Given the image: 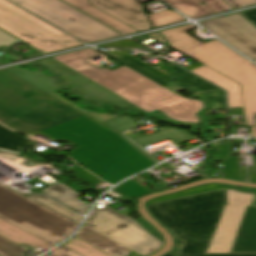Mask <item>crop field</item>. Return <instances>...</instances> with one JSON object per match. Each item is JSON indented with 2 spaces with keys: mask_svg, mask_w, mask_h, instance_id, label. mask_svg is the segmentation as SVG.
<instances>
[{
  "mask_svg": "<svg viewBox=\"0 0 256 256\" xmlns=\"http://www.w3.org/2000/svg\"><path fill=\"white\" fill-rule=\"evenodd\" d=\"M0 214L57 243L68 238L77 228L74 223L1 184Z\"/></svg>",
  "mask_w": 256,
  "mask_h": 256,
  "instance_id": "crop-field-5",
  "label": "crop field"
},
{
  "mask_svg": "<svg viewBox=\"0 0 256 256\" xmlns=\"http://www.w3.org/2000/svg\"><path fill=\"white\" fill-rule=\"evenodd\" d=\"M255 194L227 189V205H251Z\"/></svg>",
  "mask_w": 256,
  "mask_h": 256,
  "instance_id": "crop-field-29",
  "label": "crop field"
},
{
  "mask_svg": "<svg viewBox=\"0 0 256 256\" xmlns=\"http://www.w3.org/2000/svg\"><path fill=\"white\" fill-rule=\"evenodd\" d=\"M90 229L83 225L76 236L113 256H141Z\"/></svg>",
  "mask_w": 256,
  "mask_h": 256,
  "instance_id": "crop-field-19",
  "label": "crop field"
},
{
  "mask_svg": "<svg viewBox=\"0 0 256 256\" xmlns=\"http://www.w3.org/2000/svg\"><path fill=\"white\" fill-rule=\"evenodd\" d=\"M95 55L97 53L89 48L53 58L147 112L160 109L172 119L198 122L195 113L203 107L200 100L174 94L124 66L111 71L86 62Z\"/></svg>",
  "mask_w": 256,
  "mask_h": 256,
  "instance_id": "crop-field-2",
  "label": "crop field"
},
{
  "mask_svg": "<svg viewBox=\"0 0 256 256\" xmlns=\"http://www.w3.org/2000/svg\"><path fill=\"white\" fill-rule=\"evenodd\" d=\"M223 188H226V187L224 185H220V184H207V185H204V186L187 189V190H184V191H181V192H178V193L162 196V197H159V198H157V199H155V200H153V201H151L147 204L166 201V200L179 198V197H183V196H188V195L205 193V192L219 190V189H223Z\"/></svg>",
  "mask_w": 256,
  "mask_h": 256,
  "instance_id": "crop-field-27",
  "label": "crop field"
},
{
  "mask_svg": "<svg viewBox=\"0 0 256 256\" xmlns=\"http://www.w3.org/2000/svg\"><path fill=\"white\" fill-rule=\"evenodd\" d=\"M226 205V189L147 205L152 215L185 241L179 256H256L206 254Z\"/></svg>",
  "mask_w": 256,
  "mask_h": 256,
  "instance_id": "crop-field-3",
  "label": "crop field"
},
{
  "mask_svg": "<svg viewBox=\"0 0 256 256\" xmlns=\"http://www.w3.org/2000/svg\"><path fill=\"white\" fill-rule=\"evenodd\" d=\"M168 71L175 83L189 88L193 93L199 92L197 94L199 96H222L210 99L211 103L214 105L211 109L226 110L223 90L208 84L207 82L173 64L168 66Z\"/></svg>",
  "mask_w": 256,
  "mask_h": 256,
  "instance_id": "crop-field-13",
  "label": "crop field"
},
{
  "mask_svg": "<svg viewBox=\"0 0 256 256\" xmlns=\"http://www.w3.org/2000/svg\"><path fill=\"white\" fill-rule=\"evenodd\" d=\"M64 204L67 206L85 214L90 205L78 200V196L75 192L65 187L61 183L54 184L42 191H40Z\"/></svg>",
  "mask_w": 256,
  "mask_h": 256,
  "instance_id": "crop-field-21",
  "label": "crop field"
},
{
  "mask_svg": "<svg viewBox=\"0 0 256 256\" xmlns=\"http://www.w3.org/2000/svg\"><path fill=\"white\" fill-rule=\"evenodd\" d=\"M42 65L54 70L58 73L67 83L73 84V89L69 90L75 96H82L86 102L94 105L100 101L113 102L121 107H128L132 105L123 98L96 84L95 82L87 79L58 61L50 58L39 61Z\"/></svg>",
  "mask_w": 256,
  "mask_h": 256,
  "instance_id": "crop-field-10",
  "label": "crop field"
},
{
  "mask_svg": "<svg viewBox=\"0 0 256 256\" xmlns=\"http://www.w3.org/2000/svg\"><path fill=\"white\" fill-rule=\"evenodd\" d=\"M252 60L256 59V28L239 13L200 23Z\"/></svg>",
  "mask_w": 256,
  "mask_h": 256,
  "instance_id": "crop-field-9",
  "label": "crop field"
},
{
  "mask_svg": "<svg viewBox=\"0 0 256 256\" xmlns=\"http://www.w3.org/2000/svg\"><path fill=\"white\" fill-rule=\"evenodd\" d=\"M255 62H256V60H255Z\"/></svg>",
  "mask_w": 256,
  "mask_h": 256,
  "instance_id": "crop-field-47",
  "label": "crop field"
},
{
  "mask_svg": "<svg viewBox=\"0 0 256 256\" xmlns=\"http://www.w3.org/2000/svg\"><path fill=\"white\" fill-rule=\"evenodd\" d=\"M0 123L76 145L69 157L110 184L152 165L148 158L117 136L68 106L0 70Z\"/></svg>",
  "mask_w": 256,
  "mask_h": 256,
  "instance_id": "crop-field-1",
  "label": "crop field"
},
{
  "mask_svg": "<svg viewBox=\"0 0 256 256\" xmlns=\"http://www.w3.org/2000/svg\"><path fill=\"white\" fill-rule=\"evenodd\" d=\"M191 18L232 10L223 0H164Z\"/></svg>",
  "mask_w": 256,
  "mask_h": 256,
  "instance_id": "crop-field-15",
  "label": "crop field"
},
{
  "mask_svg": "<svg viewBox=\"0 0 256 256\" xmlns=\"http://www.w3.org/2000/svg\"><path fill=\"white\" fill-rule=\"evenodd\" d=\"M103 53L118 60L123 65L131 68L132 70L140 73L141 75L147 77L148 79L156 82L157 84H159L175 93L184 89L182 87H179V86L173 84L170 81L168 75L128 56L127 54L106 53V52H103Z\"/></svg>",
  "mask_w": 256,
  "mask_h": 256,
  "instance_id": "crop-field-17",
  "label": "crop field"
},
{
  "mask_svg": "<svg viewBox=\"0 0 256 256\" xmlns=\"http://www.w3.org/2000/svg\"><path fill=\"white\" fill-rule=\"evenodd\" d=\"M0 218L3 219V220H5V221H7V222H9V223H11L12 225H14V226H16V227H18V228H20V229H22V230H24V231L30 233V234H32L33 236H35V237H37V238H39V239H41V240H43V241H45V242H47V243L53 245V246L56 245V244H54V243H52V242H50V241H48V240H46V239H44V238H42V237H40V236H38V235H36V234H34V233H32V232H30V231H28V230H26V229L20 227V226H18V225H16V224L12 223L13 221L11 222V221H9V220H7V219L1 217V216H0Z\"/></svg>",
  "mask_w": 256,
  "mask_h": 256,
  "instance_id": "crop-field-42",
  "label": "crop field"
},
{
  "mask_svg": "<svg viewBox=\"0 0 256 256\" xmlns=\"http://www.w3.org/2000/svg\"><path fill=\"white\" fill-rule=\"evenodd\" d=\"M28 199L40 204L41 206L51 210L52 212L76 223L79 225L83 216L69 210L68 208L54 202L53 200L43 196V195H31Z\"/></svg>",
  "mask_w": 256,
  "mask_h": 256,
  "instance_id": "crop-field-24",
  "label": "crop field"
},
{
  "mask_svg": "<svg viewBox=\"0 0 256 256\" xmlns=\"http://www.w3.org/2000/svg\"><path fill=\"white\" fill-rule=\"evenodd\" d=\"M196 137H191L189 135H187V132L185 130L180 131L176 128L171 129V128H167L165 130L147 135V136H143L137 139H133L136 143H138L140 146L144 147L147 145H151L160 141H164V140H171L173 143L177 144L183 141H187L190 139H193Z\"/></svg>",
  "mask_w": 256,
  "mask_h": 256,
  "instance_id": "crop-field-23",
  "label": "crop field"
},
{
  "mask_svg": "<svg viewBox=\"0 0 256 256\" xmlns=\"http://www.w3.org/2000/svg\"><path fill=\"white\" fill-rule=\"evenodd\" d=\"M148 16L153 24V28L184 20V18L171 10H166Z\"/></svg>",
  "mask_w": 256,
  "mask_h": 256,
  "instance_id": "crop-field-28",
  "label": "crop field"
},
{
  "mask_svg": "<svg viewBox=\"0 0 256 256\" xmlns=\"http://www.w3.org/2000/svg\"><path fill=\"white\" fill-rule=\"evenodd\" d=\"M241 14H243L247 19L256 25V9L241 12Z\"/></svg>",
  "mask_w": 256,
  "mask_h": 256,
  "instance_id": "crop-field-40",
  "label": "crop field"
},
{
  "mask_svg": "<svg viewBox=\"0 0 256 256\" xmlns=\"http://www.w3.org/2000/svg\"><path fill=\"white\" fill-rule=\"evenodd\" d=\"M61 245L83 256H111L77 237H74Z\"/></svg>",
  "mask_w": 256,
  "mask_h": 256,
  "instance_id": "crop-field-26",
  "label": "crop field"
},
{
  "mask_svg": "<svg viewBox=\"0 0 256 256\" xmlns=\"http://www.w3.org/2000/svg\"><path fill=\"white\" fill-rule=\"evenodd\" d=\"M0 235L19 245L25 243L35 249L39 247L46 251L49 248L53 247L1 219Z\"/></svg>",
  "mask_w": 256,
  "mask_h": 256,
  "instance_id": "crop-field-22",
  "label": "crop field"
},
{
  "mask_svg": "<svg viewBox=\"0 0 256 256\" xmlns=\"http://www.w3.org/2000/svg\"><path fill=\"white\" fill-rule=\"evenodd\" d=\"M45 256H80V255H78L60 245L55 250H53L52 252L48 253Z\"/></svg>",
  "mask_w": 256,
  "mask_h": 256,
  "instance_id": "crop-field-37",
  "label": "crop field"
},
{
  "mask_svg": "<svg viewBox=\"0 0 256 256\" xmlns=\"http://www.w3.org/2000/svg\"><path fill=\"white\" fill-rule=\"evenodd\" d=\"M65 2L69 3L70 5L76 7L77 9L83 11L84 13L92 16L93 18L101 21L102 23L120 31L124 34H129L133 32H137L132 27L116 20L115 18L105 14L104 12L92 7L89 4L88 0H64Z\"/></svg>",
  "mask_w": 256,
  "mask_h": 256,
  "instance_id": "crop-field-20",
  "label": "crop field"
},
{
  "mask_svg": "<svg viewBox=\"0 0 256 256\" xmlns=\"http://www.w3.org/2000/svg\"><path fill=\"white\" fill-rule=\"evenodd\" d=\"M84 225L143 256L151 255L163 246L160 240L137 225L134 220L118 227L91 212Z\"/></svg>",
  "mask_w": 256,
  "mask_h": 256,
  "instance_id": "crop-field-8",
  "label": "crop field"
},
{
  "mask_svg": "<svg viewBox=\"0 0 256 256\" xmlns=\"http://www.w3.org/2000/svg\"><path fill=\"white\" fill-rule=\"evenodd\" d=\"M226 1L230 3L232 6H234L235 8L256 3V0H226Z\"/></svg>",
  "mask_w": 256,
  "mask_h": 256,
  "instance_id": "crop-field-39",
  "label": "crop field"
},
{
  "mask_svg": "<svg viewBox=\"0 0 256 256\" xmlns=\"http://www.w3.org/2000/svg\"><path fill=\"white\" fill-rule=\"evenodd\" d=\"M16 39L12 38L11 36L7 35L6 33L0 31V46H11L13 43H15Z\"/></svg>",
  "mask_w": 256,
  "mask_h": 256,
  "instance_id": "crop-field-38",
  "label": "crop field"
},
{
  "mask_svg": "<svg viewBox=\"0 0 256 256\" xmlns=\"http://www.w3.org/2000/svg\"><path fill=\"white\" fill-rule=\"evenodd\" d=\"M27 249L0 237V256H22Z\"/></svg>",
  "mask_w": 256,
  "mask_h": 256,
  "instance_id": "crop-field-32",
  "label": "crop field"
},
{
  "mask_svg": "<svg viewBox=\"0 0 256 256\" xmlns=\"http://www.w3.org/2000/svg\"><path fill=\"white\" fill-rule=\"evenodd\" d=\"M191 71L223 87L227 91L229 108L243 107L242 93L239 84L204 65Z\"/></svg>",
  "mask_w": 256,
  "mask_h": 256,
  "instance_id": "crop-field-18",
  "label": "crop field"
},
{
  "mask_svg": "<svg viewBox=\"0 0 256 256\" xmlns=\"http://www.w3.org/2000/svg\"><path fill=\"white\" fill-rule=\"evenodd\" d=\"M247 206L226 207L207 253H230Z\"/></svg>",
  "mask_w": 256,
  "mask_h": 256,
  "instance_id": "crop-field-11",
  "label": "crop field"
},
{
  "mask_svg": "<svg viewBox=\"0 0 256 256\" xmlns=\"http://www.w3.org/2000/svg\"><path fill=\"white\" fill-rule=\"evenodd\" d=\"M51 153H53V154H55V155H57V156L61 155V154H59V153H57V152H55V151H53V150H49V151H47V152H44V153H42V155L47 156V155H49V154H51Z\"/></svg>",
  "mask_w": 256,
  "mask_h": 256,
  "instance_id": "crop-field-43",
  "label": "crop field"
},
{
  "mask_svg": "<svg viewBox=\"0 0 256 256\" xmlns=\"http://www.w3.org/2000/svg\"><path fill=\"white\" fill-rule=\"evenodd\" d=\"M31 144L32 143L0 125V149L21 154L22 151L29 148Z\"/></svg>",
  "mask_w": 256,
  "mask_h": 256,
  "instance_id": "crop-field-25",
  "label": "crop field"
},
{
  "mask_svg": "<svg viewBox=\"0 0 256 256\" xmlns=\"http://www.w3.org/2000/svg\"><path fill=\"white\" fill-rule=\"evenodd\" d=\"M216 148L219 152L215 160L222 161L230 154V141L217 143Z\"/></svg>",
  "mask_w": 256,
  "mask_h": 256,
  "instance_id": "crop-field-36",
  "label": "crop field"
},
{
  "mask_svg": "<svg viewBox=\"0 0 256 256\" xmlns=\"http://www.w3.org/2000/svg\"><path fill=\"white\" fill-rule=\"evenodd\" d=\"M8 71H10L11 73L19 76L20 78L24 79L25 81H27L28 83L36 86L37 88L43 90L44 92L52 95L53 97L57 98L58 100L64 102L65 104L81 111L82 113L88 115L89 117H91L92 119L96 120L99 123H102L106 120H109L111 118H113L112 115L107 114V113H93L90 111H86L82 108H78L74 103L58 96L57 94L53 93V89L55 88L53 81L50 79V77H48L47 75L41 73V72H35V71H27L25 69L22 68H18V67H11V68H7Z\"/></svg>",
  "mask_w": 256,
  "mask_h": 256,
  "instance_id": "crop-field-14",
  "label": "crop field"
},
{
  "mask_svg": "<svg viewBox=\"0 0 256 256\" xmlns=\"http://www.w3.org/2000/svg\"><path fill=\"white\" fill-rule=\"evenodd\" d=\"M0 28L45 53L82 44L5 0H0Z\"/></svg>",
  "mask_w": 256,
  "mask_h": 256,
  "instance_id": "crop-field-6",
  "label": "crop field"
},
{
  "mask_svg": "<svg viewBox=\"0 0 256 256\" xmlns=\"http://www.w3.org/2000/svg\"><path fill=\"white\" fill-rule=\"evenodd\" d=\"M252 205H255L256 206V195H255V198H254V201H253V204Z\"/></svg>",
  "mask_w": 256,
  "mask_h": 256,
  "instance_id": "crop-field-46",
  "label": "crop field"
},
{
  "mask_svg": "<svg viewBox=\"0 0 256 256\" xmlns=\"http://www.w3.org/2000/svg\"><path fill=\"white\" fill-rule=\"evenodd\" d=\"M231 253H256V207L248 206Z\"/></svg>",
  "mask_w": 256,
  "mask_h": 256,
  "instance_id": "crop-field-16",
  "label": "crop field"
},
{
  "mask_svg": "<svg viewBox=\"0 0 256 256\" xmlns=\"http://www.w3.org/2000/svg\"><path fill=\"white\" fill-rule=\"evenodd\" d=\"M223 165L226 178L239 181L238 156H230Z\"/></svg>",
  "mask_w": 256,
  "mask_h": 256,
  "instance_id": "crop-field-34",
  "label": "crop field"
},
{
  "mask_svg": "<svg viewBox=\"0 0 256 256\" xmlns=\"http://www.w3.org/2000/svg\"><path fill=\"white\" fill-rule=\"evenodd\" d=\"M254 162H255V174H256V156H254Z\"/></svg>",
  "mask_w": 256,
  "mask_h": 256,
  "instance_id": "crop-field-45",
  "label": "crop field"
},
{
  "mask_svg": "<svg viewBox=\"0 0 256 256\" xmlns=\"http://www.w3.org/2000/svg\"><path fill=\"white\" fill-rule=\"evenodd\" d=\"M92 5L107 14L132 25L139 31L150 28L146 17L141 12L140 3L149 0H90Z\"/></svg>",
  "mask_w": 256,
  "mask_h": 256,
  "instance_id": "crop-field-12",
  "label": "crop field"
},
{
  "mask_svg": "<svg viewBox=\"0 0 256 256\" xmlns=\"http://www.w3.org/2000/svg\"><path fill=\"white\" fill-rule=\"evenodd\" d=\"M72 171L74 172V177L83 179L92 185H96L102 182V180L98 179L97 177H95L94 175H92L91 173L87 172L86 170L79 166L72 168Z\"/></svg>",
  "mask_w": 256,
  "mask_h": 256,
  "instance_id": "crop-field-35",
  "label": "crop field"
},
{
  "mask_svg": "<svg viewBox=\"0 0 256 256\" xmlns=\"http://www.w3.org/2000/svg\"><path fill=\"white\" fill-rule=\"evenodd\" d=\"M11 1L87 43L121 36L59 0Z\"/></svg>",
  "mask_w": 256,
  "mask_h": 256,
  "instance_id": "crop-field-7",
  "label": "crop field"
},
{
  "mask_svg": "<svg viewBox=\"0 0 256 256\" xmlns=\"http://www.w3.org/2000/svg\"><path fill=\"white\" fill-rule=\"evenodd\" d=\"M138 40L142 41V40H145V39H148L149 37L144 35V36H140V37H136Z\"/></svg>",
  "mask_w": 256,
  "mask_h": 256,
  "instance_id": "crop-field-44",
  "label": "crop field"
},
{
  "mask_svg": "<svg viewBox=\"0 0 256 256\" xmlns=\"http://www.w3.org/2000/svg\"><path fill=\"white\" fill-rule=\"evenodd\" d=\"M121 138H123L125 141H127L129 144H131L133 147H135L137 150H139L142 154H144L146 157H148L151 161H153L155 164H157L158 162H156L153 158H151L148 154H146L144 151H142L141 149H139L133 142H131L126 136H124L123 134H118Z\"/></svg>",
  "mask_w": 256,
  "mask_h": 256,
  "instance_id": "crop-field-41",
  "label": "crop field"
},
{
  "mask_svg": "<svg viewBox=\"0 0 256 256\" xmlns=\"http://www.w3.org/2000/svg\"><path fill=\"white\" fill-rule=\"evenodd\" d=\"M195 27L187 25L160 33L171 48L241 84L246 125L251 126L252 137H256V66L217 40L203 44L184 32ZM161 34L148 36L166 45Z\"/></svg>",
  "mask_w": 256,
  "mask_h": 256,
  "instance_id": "crop-field-4",
  "label": "crop field"
},
{
  "mask_svg": "<svg viewBox=\"0 0 256 256\" xmlns=\"http://www.w3.org/2000/svg\"><path fill=\"white\" fill-rule=\"evenodd\" d=\"M92 211L96 212L97 214L101 215L102 217L108 219L109 221L113 222L114 224H116L118 226L132 219V218L126 217V216L106 207V206L103 208L94 207Z\"/></svg>",
  "mask_w": 256,
  "mask_h": 256,
  "instance_id": "crop-field-31",
  "label": "crop field"
},
{
  "mask_svg": "<svg viewBox=\"0 0 256 256\" xmlns=\"http://www.w3.org/2000/svg\"><path fill=\"white\" fill-rule=\"evenodd\" d=\"M118 189L122 190L126 194L131 197H141L148 194V191L140 186L138 183L133 181L132 179L126 181L125 183L121 184Z\"/></svg>",
  "mask_w": 256,
  "mask_h": 256,
  "instance_id": "crop-field-33",
  "label": "crop field"
},
{
  "mask_svg": "<svg viewBox=\"0 0 256 256\" xmlns=\"http://www.w3.org/2000/svg\"><path fill=\"white\" fill-rule=\"evenodd\" d=\"M102 125L118 132H123L126 130L137 128V124L131 118L128 117H117Z\"/></svg>",
  "mask_w": 256,
  "mask_h": 256,
  "instance_id": "crop-field-30",
  "label": "crop field"
}]
</instances>
